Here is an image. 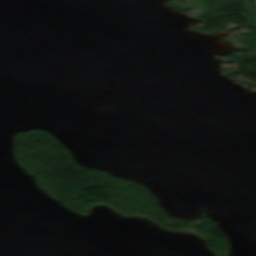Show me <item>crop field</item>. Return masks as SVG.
<instances>
[{"mask_svg":"<svg viewBox=\"0 0 256 256\" xmlns=\"http://www.w3.org/2000/svg\"><path fill=\"white\" fill-rule=\"evenodd\" d=\"M188 3H190L191 5L195 6L196 8H198L199 10L205 13L209 12V10L205 8L202 0H190Z\"/></svg>","mask_w":256,"mask_h":256,"instance_id":"1","label":"crop field"}]
</instances>
